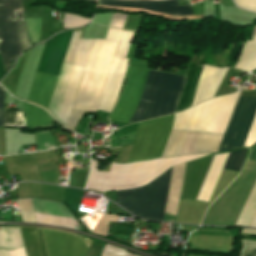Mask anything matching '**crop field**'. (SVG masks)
Masks as SVG:
<instances>
[{"instance_id":"crop-field-1","label":"crop field","mask_w":256,"mask_h":256,"mask_svg":"<svg viewBox=\"0 0 256 256\" xmlns=\"http://www.w3.org/2000/svg\"><path fill=\"white\" fill-rule=\"evenodd\" d=\"M148 71V69L129 66L122 95L110 119L129 121L140 99ZM184 80V76L150 70L140 102L130 122L174 113Z\"/></svg>"},{"instance_id":"crop-field-2","label":"crop field","mask_w":256,"mask_h":256,"mask_svg":"<svg viewBox=\"0 0 256 256\" xmlns=\"http://www.w3.org/2000/svg\"><path fill=\"white\" fill-rule=\"evenodd\" d=\"M205 155L208 154L168 157L129 165L112 164L110 173L96 172L97 162L91 161V173L86 188L104 192L143 186L170 167Z\"/></svg>"},{"instance_id":"crop-field-3","label":"crop field","mask_w":256,"mask_h":256,"mask_svg":"<svg viewBox=\"0 0 256 256\" xmlns=\"http://www.w3.org/2000/svg\"><path fill=\"white\" fill-rule=\"evenodd\" d=\"M80 31L72 33L48 109L64 125H66L71 112L77 88L94 40L79 38Z\"/></svg>"},{"instance_id":"crop-field-4","label":"crop field","mask_w":256,"mask_h":256,"mask_svg":"<svg viewBox=\"0 0 256 256\" xmlns=\"http://www.w3.org/2000/svg\"><path fill=\"white\" fill-rule=\"evenodd\" d=\"M171 169L144 187L115 191L117 204L141 218L162 221Z\"/></svg>"},{"instance_id":"crop-field-5","label":"crop field","mask_w":256,"mask_h":256,"mask_svg":"<svg viewBox=\"0 0 256 256\" xmlns=\"http://www.w3.org/2000/svg\"><path fill=\"white\" fill-rule=\"evenodd\" d=\"M29 47L21 0H0V56L6 71Z\"/></svg>"},{"instance_id":"crop-field-6","label":"crop field","mask_w":256,"mask_h":256,"mask_svg":"<svg viewBox=\"0 0 256 256\" xmlns=\"http://www.w3.org/2000/svg\"><path fill=\"white\" fill-rule=\"evenodd\" d=\"M173 118L174 115L141 122L127 163L161 157Z\"/></svg>"},{"instance_id":"crop-field-7","label":"crop field","mask_w":256,"mask_h":256,"mask_svg":"<svg viewBox=\"0 0 256 256\" xmlns=\"http://www.w3.org/2000/svg\"><path fill=\"white\" fill-rule=\"evenodd\" d=\"M256 113V99L238 96L219 151L243 147Z\"/></svg>"},{"instance_id":"crop-field-8","label":"crop field","mask_w":256,"mask_h":256,"mask_svg":"<svg viewBox=\"0 0 256 256\" xmlns=\"http://www.w3.org/2000/svg\"><path fill=\"white\" fill-rule=\"evenodd\" d=\"M222 136L172 130L162 157L216 152Z\"/></svg>"},{"instance_id":"crop-field-9","label":"crop field","mask_w":256,"mask_h":256,"mask_svg":"<svg viewBox=\"0 0 256 256\" xmlns=\"http://www.w3.org/2000/svg\"><path fill=\"white\" fill-rule=\"evenodd\" d=\"M133 32L123 31L101 98L99 110L110 112L118 94L128 59L125 58Z\"/></svg>"},{"instance_id":"crop-field-10","label":"crop field","mask_w":256,"mask_h":256,"mask_svg":"<svg viewBox=\"0 0 256 256\" xmlns=\"http://www.w3.org/2000/svg\"><path fill=\"white\" fill-rule=\"evenodd\" d=\"M48 256H84L87 245L83 239L68 233L41 229Z\"/></svg>"},{"instance_id":"crop-field-11","label":"crop field","mask_w":256,"mask_h":256,"mask_svg":"<svg viewBox=\"0 0 256 256\" xmlns=\"http://www.w3.org/2000/svg\"><path fill=\"white\" fill-rule=\"evenodd\" d=\"M31 200H32L34 212L68 217V218H72L74 222L76 221L73 218V216L68 212V210L65 208V206L61 203L49 201V200L34 199V198H31ZM37 213H34L36 223L57 225V226L71 228V229H73L74 227V222L72 221V219L37 214Z\"/></svg>"},{"instance_id":"crop-field-12","label":"crop field","mask_w":256,"mask_h":256,"mask_svg":"<svg viewBox=\"0 0 256 256\" xmlns=\"http://www.w3.org/2000/svg\"><path fill=\"white\" fill-rule=\"evenodd\" d=\"M98 5L121 6L142 8L150 11L162 12L173 16L193 15L189 4L178 6L177 0L164 2L151 1H116V0H98Z\"/></svg>"},{"instance_id":"crop-field-13","label":"crop field","mask_w":256,"mask_h":256,"mask_svg":"<svg viewBox=\"0 0 256 256\" xmlns=\"http://www.w3.org/2000/svg\"><path fill=\"white\" fill-rule=\"evenodd\" d=\"M226 70L227 68L219 69L207 65L203 66L192 105L213 97Z\"/></svg>"},{"instance_id":"crop-field-14","label":"crop field","mask_w":256,"mask_h":256,"mask_svg":"<svg viewBox=\"0 0 256 256\" xmlns=\"http://www.w3.org/2000/svg\"><path fill=\"white\" fill-rule=\"evenodd\" d=\"M57 78L36 72L27 100L48 109Z\"/></svg>"},{"instance_id":"crop-field-15","label":"crop field","mask_w":256,"mask_h":256,"mask_svg":"<svg viewBox=\"0 0 256 256\" xmlns=\"http://www.w3.org/2000/svg\"><path fill=\"white\" fill-rule=\"evenodd\" d=\"M27 256H47L39 228H20Z\"/></svg>"},{"instance_id":"crop-field-16","label":"crop field","mask_w":256,"mask_h":256,"mask_svg":"<svg viewBox=\"0 0 256 256\" xmlns=\"http://www.w3.org/2000/svg\"><path fill=\"white\" fill-rule=\"evenodd\" d=\"M203 65L190 68L187 73V78L181 93L176 112L183 110L191 105L197 81Z\"/></svg>"},{"instance_id":"crop-field-17","label":"crop field","mask_w":256,"mask_h":256,"mask_svg":"<svg viewBox=\"0 0 256 256\" xmlns=\"http://www.w3.org/2000/svg\"><path fill=\"white\" fill-rule=\"evenodd\" d=\"M22 105L26 126L35 128L53 125L51 117L43 109L24 102Z\"/></svg>"},{"instance_id":"crop-field-18","label":"crop field","mask_w":256,"mask_h":256,"mask_svg":"<svg viewBox=\"0 0 256 256\" xmlns=\"http://www.w3.org/2000/svg\"><path fill=\"white\" fill-rule=\"evenodd\" d=\"M22 246L19 227H0V247L14 250Z\"/></svg>"},{"instance_id":"crop-field-19","label":"crop field","mask_w":256,"mask_h":256,"mask_svg":"<svg viewBox=\"0 0 256 256\" xmlns=\"http://www.w3.org/2000/svg\"><path fill=\"white\" fill-rule=\"evenodd\" d=\"M256 211V185L236 225L248 226Z\"/></svg>"},{"instance_id":"crop-field-20","label":"crop field","mask_w":256,"mask_h":256,"mask_svg":"<svg viewBox=\"0 0 256 256\" xmlns=\"http://www.w3.org/2000/svg\"><path fill=\"white\" fill-rule=\"evenodd\" d=\"M135 226H130L129 224H109L108 234L112 236L119 237L128 242H131V234L133 233ZM133 236V234H132ZM133 242V239H132Z\"/></svg>"},{"instance_id":"crop-field-21","label":"crop field","mask_w":256,"mask_h":256,"mask_svg":"<svg viewBox=\"0 0 256 256\" xmlns=\"http://www.w3.org/2000/svg\"><path fill=\"white\" fill-rule=\"evenodd\" d=\"M2 126L25 127L23 112L4 110Z\"/></svg>"},{"instance_id":"crop-field-22","label":"crop field","mask_w":256,"mask_h":256,"mask_svg":"<svg viewBox=\"0 0 256 256\" xmlns=\"http://www.w3.org/2000/svg\"><path fill=\"white\" fill-rule=\"evenodd\" d=\"M247 150L230 153L223 168L239 171Z\"/></svg>"},{"instance_id":"crop-field-23","label":"crop field","mask_w":256,"mask_h":256,"mask_svg":"<svg viewBox=\"0 0 256 256\" xmlns=\"http://www.w3.org/2000/svg\"><path fill=\"white\" fill-rule=\"evenodd\" d=\"M29 44L32 45L39 41L40 19L25 18Z\"/></svg>"},{"instance_id":"crop-field-24","label":"crop field","mask_w":256,"mask_h":256,"mask_svg":"<svg viewBox=\"0 0 256 256\" xmlns=\"http://www.w3.org/2000/svg\"><path fill=\"white\" fill-rule=\"evenodd\" d=\"M17 202L22 221L35 223L30 198L20 199Z\"/></svg>"},{"instance_id":"crop-field-25","label":"crop field","mask_w":256,"mask_h":256,"mask_svg":"<svg viewBox=\"0 0 256 256\" xmlns=\"http://www.w3.org/2000/svg\"><path fill=\"white\" fill-rule=\"evenodd\" d=\"M82 190L68 189L65 188L64 201L69 206V208L75 213L78 205V201ZM64 202V203H65Z\"/></svg>"},{"instance_id":"crop-field-26","label":"crop field","mask_w":256,"mask_h":256,"mask_svg":"<svg viewBox=\"0 0 256 256\" xmlns=\"http://www.w3.org/2000/svg\"><path fill=\"white\" fill-rule=\"evenodd\" d=\"M101 256H139V255L128 253L119 247H115L106 243Z\"/></svg>"},{"instance_id":"crop-field-27","label":"crop field","mask_w":256,"mask_h":256,"mask_svg":"<svg viewBox=\"0 0 256 256\" xmlns=\"http://www.w3.org/2000/svg\"><path fill=\"white\" fill-rule=\"evenodd\" d=\"M87 22H89L88 19L76 17L69 14L64 15V29L83 26Z\"/></svg>"},{"instance_id":"crop-field-28","label":"crop field","mask_w":256,"mask_h":256,"mask_svg":"<svg viewBox=\"0 0 256 256\" xmlns=\"http://www.w3.org/2000/svg\"><path fill=\"white\" fill-rule=\"evenodd\" d=\"M242 242L243 250L240 256H256V242L247 240H242Z\"/></svg>"},{"instance_id":"crop-field-29","label":"crop field","mask_w":256,"mask_h":256,"mask_svg":"<svg viewBox=\"0 0 256 256\" xmlns=\"http://www.w3.org/2000/svg\"><path fill=\"white\" fill-rule=\"evenodd\" d=\"M234 1L239 7L256 12V0H234Z\"/></svg>"},{"instance_id":"crop-field-30","label":"crop field","mask_w":256,"mask_h":256,"mask_svg":"<svg viewBox=\"0 0 256 256\" xmlns=\"http://www.w3.org/2000/svg\"><path fill=\"white\" fill-rule=\"evenodd\" d=\"M4 94H5V89L0 87V126H1V122H2Z\"/></svg>"},{"instance_id":"crop-field-31","label":"crop field","mask_w":256,"mask_h":256,"mask_svg":"<svg viewBox=\"0 0 256 256\" xmlns=\"http://www.w3.org/2000/svg\"><path fill=\"white\" fill-rule=\"evenodd\" d=\"M9 251V255L10 256H25V252H24V248H19L17 250H14V251Z\"/></svg>"},{"instance_id":"crop-field-32","label":"crop field","mask_w":256,"mask_h":256,"mask_svg":"<svg viewBox=\"0 0 256 256\" xmlns=\"http://www.w3.org/2000/svg\"><path fill=\"white\" fill-rule=\"evenodd\" d=\"M0 256H9L8 251L0 248Z\"/></svg>"},{"instance_id":"crop-field-33","label":"crop field","mask_w":256,"mask_h":256,"mask_svg":"<svg viewBox=\"0 0 256 256\" xmlns=\"http://www.w3.org/2000/svg\"><path fill=\"white\" fill-rule=\"evenodd\" d=\"M249 227H256V214H255V216H254V218H253Z\"/></svg>"},{"instance_id":"crop-field-34","label":"crop field","mask_w":256,"mask_h":256,"mask_svg":"<svg viewBox=\"0 0 256 256\" xmlns=\"http://www.w3.org/2000/svg\"><path fill=\"white\" fill-rule=\"evenodd\" d=\"M241 232H246V233H256V230H251V229H242Z\"/></svg>"},{"instance_id":"crop-field-35","label":"crop field","mask_w":256,"mask_h":256,"mask_svg":"<svg viewBox=\"0 0 256 256\" xmlns=\"http://www.w3.org/2000/svg\"><path fill=\"white\" fill-rule=\"evenodd\" d=\"M4 74V72H3V68H2V64H1V60H0V78H1V76Z\"/></svg>"},{"instance_id":"crop-field-36","label":"crop field","mask_w":256,"mask_h":256,"mask_svg":"<svg viewBox=\"0 0 256 256\" xmlns=\"http://www.w3.org/2000/svg\"><path fill=\"white\" fill-rule=\"evenodd\" d=\"M92 1H95V0H92Z\"/></svg>"}]
</instances>
